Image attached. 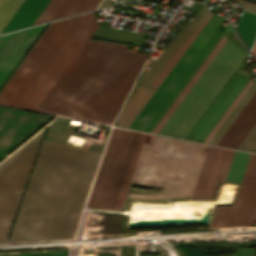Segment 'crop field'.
<instances>
[{
	"instance_id": "9",
	"label": "crop field",
	"mask_w": 256,
	"mask_h": 256,
	"mask_svg": "<svg viewBox=\"0 0 256 256\" xmlns=\"http://www.w3.org/2000/svg\"><path fill=\"white\" fill-rule=\"evenodd\" d=\"M52 118L0 107V158Z\"/></svg>"
},
{
	"instance_id": "11",
	"label": "crop field",
	"mask_w": 256,
	"mask_h": 256,
	"mask_svg": "<svg viewBox=\"0 0 256 256\" xmlns=\"http://www.w3.org/2000/svg\"><path fill=\"white\" fill-rule=\"evenodd\" d=\"M234 151L212 146L195 197H212L217 181H224Z\"/></svg>"
},
{
	"instance_id": "1",
	"label": "crop field",
	"mask_w": 256,
	"mask_h": 256,
	"mask_svg": "<svg viewBox=\"0 0 256 256\" xmlns=\"http://www.w3.org/2000/svg\"><path fill=\"white\" fill-rule=\"evenodd\" d=\"M43 132L0 164V241L7 239ZM99 156L44 140L9 241L70 238Z\"/></svg>"
},
{
	"instance_id": "8",
	"label": "crop field",
	"mask_w": 256,
	"mask_h": 256,
	"mask_svg": "<svg viewBox=\"0 0 256 256\" xmlns=\"http://www.w3.org/2000/svg\"><path fill=\"white\" fill-rule=\"evenodd\" d=\"M178 141L148 134L133 178L163 186Z\"/></svg>"
},
{
	"instance_id": "10",
	"label": "crop field",
	"mask_w": 256,
	"mask_h": 256,
	"mask_svg": "<svg viewBox=\"0 0 256 256\" xmlns=\"http://www.w3.org/2000/svg\"><path fill=\"white\" fill-rule=\"evenodd\" d=\"M197 56L189 50L184 52L129 128L142 131Z\"/></svg>"
},
{
	"instance_id": "28",
	"label": "crop field",
	"mask_w": 256,
	"mask_h": 256,
	"mask_svg": "<svg viewBox=\"0 0 256 256\" xmlns=\"http://www.w3.org/2000/svg\"><path fill=\"white\" fill-rule=\"evenodd\" d=\"M240 8L242 9H245V10H249V11H252V12H255L256 13V9H253V8H250V7H247V6H244V5H240Z\"/></svg>"
},
{
	"instance_id": "27",
	"label": "crop field",
	"mask_w": 256,
	"mask_h": 256,
	"mask_svg": "<svg viewBox=\"0 0 256 256\" xmlns=\"http://www.w3.org/2000/svg\"><path fill=\"white\" fill-rule=\"evenodd\" d=\"M240 256H255L254 248L239 249Z\"/></svg>"
},
{
	"instance_id": "5",
	"label": "crop field",
	"mask_w": 256,
	"mask_h": 256,
	"mask_svg": "<svg viewBox=\"0 0 256 256\" xmlns=\"http://www.w3.org/2000/svg\"><path fill=\"white\" fill-rule=\"evenodd\" d=\"M146 135L112 129L86 207L122 209Z\"/></svg>"
},
{
	"instance_id": "26",
	"label": "crop field",
	"mask_w": 256,
	"mask_h": 256,
	"mask_svg": "<svg viewBox=\"0 0 256 256\" xmlns=\"http://www.w3.org/2000/svg\"><path fill=\"white\" fill-rule=\"evenodd\" d=\"M251 83L252 81L249 80V82L246 84V86L243 88V90L240 92V94L237 96V98L234 100V102L231 104V106L228 108V110L225 112V114L222 116V118L219 120V122L207 136V138L204 140L205 143H207V141L210 139V137L213 135V133L216 131V129L219 127V125L222 123V121L225 119V117L228 115V113L231 111V109L234 107V105L237 103V101L240 99V97L243 95V93L246 91V89L249 87Z\"/></svg>"
},
{
	"instance_id": "16",
	"label": "crop field",
	"mask_w": 256,
	"mask_h": 256,
	"mask_svg": "<svg viewBox=\"0 0 256 256\" xmlns=\"http://www.w3.org/2000/svg\"><path fill=\"white\" fill-rule=\"evenodd\" d=\"M45 26L46 24L29 29L13 52L9 55V57L0 67V86Z\"/></svg>"
},
{
	"instance_id": "25",
	"label": "crop field",
	"mask_w": 256,
	"mask_h": 256,
	"mask_svg": "<svg viewBox=\"0 0 256 256\" xmlns=\"http://www.w3.org/2000/svg\"><path fill=\"white\" fill-rule=\"evenodd\" d=\"M238 148L256 152V124L253 126Z\"/></svg>"
},
{
	"instance_id": "29",
	"label": "crop field",
	"mask_w": 256,
	"mask_h": 256,
	"mask_svg": "<svg viewBox=\"0 0 256 256\" xmlns=\"http://www.w3.org/2000/svg\"><path fill=\"white\" fill-rule=\"evenodd\" d=\"M252 53H253V55L256 57V43H255V45H254V47H253V49H252Z\"/></svg>"
},
{
	"instance_id": "18",
	"label": "crop field",
	"mask_w": 256,
	"mask_h": 256,
	"mask_svg": "<svg viewBox=\"0 0 256 256\" xmlns=\"http://www.w3.org/2000/svg\"><path fill=\"white\" fill-rule=\"evenodd\" d=\"M155 90L140 86L119 116L118 126L128 128Z\"/></svg>"
},
{
	"instance_id": "2",
	"label": "crop field",
	"mask_w": 256,
	"mask_h": 256,
	"mask_svg": "<svg viewBox=\"0 0 256 256\" xmlns=\"http://www.w3.org/2000/svg\"><path fill=\"white\" fill-rule=\"evenodd\" d=\"M89 40L37 111L112 124L147 55Z\"/></svg>"
},
{
	"instance_id": "3",
	"label": "crop field",
	"mask_w": 256,
	"mask_h": 256,
	"mask_svg": "<svg viewBox=\"0 0 256 256\" xmlns=\"http://www.w3.org/2000/svg\"><path fill=\"white\" fill-rule=\"evenodd\" d=\"M98 26L93 12L50 23L0 90V104L36 111Z\"/></svg>"
},
{
	"instance_id": "14",
	"label": "crop field",
	"mask_w": 256,
	"mask_h": 256,
	"mask_svg": "<svg viewBox=\"0 0 256 256\" xmlns=\"http://www.w3.org/2000/svg\"><path fill=\"white\" fill-rule=\"evenodd\" d=\"M100 1L101 0H51L33 25L62 16L95 9Z\"/></svg>"
},
{
	"instance_id": "17",
	"label": "crop field",
	"mask_w": 256,
	"mask_h": 256,
	"mask_svg": "<svg viewBox=\"0 0 256 256\" xmlns=\"http://www.w3.org/2000/svg\"><path fill=\"white\" fill-rule=\"evenodd\" d=\"M256 202V154L251 153L236 198ZM234 203L256 206V203L238 201Z\"/></svg>"
},
{
	"instance_id": "30",
	"label": "crop field",
	"mask_w": 256,
	"mask_h": 256,
	"mask_svg": "<svg viewBox=\"0 0 256 256\" xmlns=\"http://www.w3.org/2000/svg\"><path fill=\"white\" fill-rule=\"evenodd\" d=\"M246 1H249V2H252V3L256 4V0H246Z\"/></svg>"
},
{
	"instance_id": "23",
	"label": "crop field",
	"mask_w": 256,
	"mask_h": 256,
	"mask_svg": "<svg viewBox=\"0 0 256 256\" xmlns=\"http://www.w3.org/2000/svg\"><path fill=\"white\" fill-rule=\"evenodd\" d=\"M250 153L236 150L227 177L241 179Z\"/></svg>"
},
{
	"instance_id": "7",
	"label": "crop field",
	"mask_w": 256,
	"mask_h": 256,
	"mask_svg": "<svg viewBox=\"0 0 256 256\" xmlns=\"http://www.w3.org/2000/svg\"><path fill=\"white\" fill-rule=\"evenodd\" d=\"M225 42L226 38L219 28V30L144 128V132L157 134L160 131Z\"/></svg>"
},
{
	"instance_id": "20",
	"label": "crop field",
	"mask_w": 256,
	"mask_h": 256,
	"mask_svg": "<svg viewBox=\"0 0 256 256\" xmlns=\"http://www.w3.org/2000/svg\"><path fill=\"white\" fill-rule=\"evenodd\" d=\"M236 29L250 49L256 36V15L244 11Z\"/></svg>"
},
{
	"instance_id": "13",
	"label": "crop field",
	"mask_w": 256,
	"mask_h": 256,
	"mask_svg": "<svg viewBox=\"0 0 256 256\" xmlns=\"http://www.w3.org/2000/svg\"><path fill=\"white\" fill-rule=\"evenodd\" d=\"M256 122V93L247 103L220 141L219 146L237 148Z\"/></svg>"
},
{
	"instance_id": "24",
	"label": "crop field",
	"mask_w": 256,
	"mask_h": 256,
	"mask_svg": "<svg viewBox=\"0 0 256 256\" xmlns=\"http://www.w3.org/2000/svg\"><path fill=\"white\" fill-rule=\"evenodd\" d=\"M22 2L23 0H0V31Z\"/></svg>"
},
{
	"instance_id": "4",
	"label": "crop field",
	"mask_w": 256,
	"mask_h": 256,
	"mask_svg": "<svg viewBox=\"0 0 256 256\" xmlns=\"http://www.w3.org/2000/svg\"><path fill=\"white\" fill-rule=\"evenodd\" d=\"M246 54L227 41L159 134L185 139ZM249 79L234 72L186 139L203 142Z\"/></svg>"
},
{
	"instance_id": "31",
	"label": "crop field",
	"mask_w": 256,
	"mask_h": 256,
	"mask_svg": "<svg viewBox=\"0 0 256 256\" xmlns=\"http://www.w3.org/2000/svg\"><path fill=\"white\" fill-rule=\"evenodd\" d=\"M254 220H256V217H255V219Z\"/></svg>"
},
{
	"instance_id": "19",
	"label": "crop field",
	"mask_w": 256,
	"mask_h": 256,
	"mask_svg": "<svg viewBox=\"0 0 256 256\" xmlns=\"http://www.w3.org/2000/svg\"><path fill=\"white\" fill-rule=\"evenodd\" d=\"M255 91L256 83L253 82L249 89L246 91V93L243 95V97L240 99V101L237 103V105L234 107V109L231 111V113L227 116V118L209 140V144L215 145L217 143V141L227 130V128L230 126V124L233 122V120L236 118V116L239 114V112L242 110V108L245 106V104L248 102V100L251 98Z\"/></svg>"
},
{
	"instance_id": "15",
	"label": "crop field",
	"mask_w": 256,
	"mask_h": 256,
	"mask_svg": "<svg viewBox=\"0 0 256 256\" xmlns=\"http://www.w3.org/2000/svg\"><path fill=\"white\" fill-rule=\"evenodd\" d=\"M50 0H25L1 33L32 25Z\"/></svg>"
},
{
	"instance_id": "22",
	"label": "crop field",
	"mask_w": 256,
	"mask_h": 256,
	"mask_svg": "<svg viewBox=\"0 0 256 256\" xmlns=\"http://www.w3.org/2000/svg\"><path fill=\"white\" fill-rule=\"evenodd\" d=\"M27 30L0 36V66L12 52Z\"/></svg>"
},
{
	"instance_id": "21",
	"label": "crop field",
	"mask_w": 256,
	"mask_h": 256,
	"mask_svg": "<svg viewBox=\"0 0 256 256\" xmlns=\"http://www.w3.org/2000/svg\"><path fill=\"white\" fill-rule=\"evenodd\" d=\"M211 15L196 30V32L172 55V57L169 59V61L167 62L165 67L162 69V71L160 72V74L158 75L156 80L153 82L151 87H153V88H157L158 87V85L161 83V81L164 79V77L167 75V73L170 71V69L173 67V65L176 63V61L179 59V57L182 55V53L185 51V49L189 46V44L192 42V40L196 37V35L199 33V31L202 29V27L205 25V23L211 17Z\"/></svg>"
},
{
	"instance_id": "6",
	"label": "crop field",
	"mask_w": 256,
	"mask_h": 256,
	"mask_svg": "<svg viewBox=\"0 0 256 256\" xmlns=\"http://www.w3.org/2000/svg\"><path fill=\"white\" fill-rule=\"evenodd\" d=\"M209 145L179 141L162 194H129L128 197H194L210 150Z\"/></svg>"
},
{
	"instance_id": "12",
	"label": "crop field",
	"mask_w": 256,
	"mask_h": 256,
	"mask_svg": "<svg viewBox=\"0 0 256 256\" xmlns=\"http://www.w3.org/2000/svg\"><path fill=\"white\" fill-rule=\"evenodd\" d=\"M212 12L205 6L194 19L179 33V35L164 50L161 56L153 63L150 70L141 82V85L150 87L161 69L164 67L171 55L195 32V30L206 20Z\"/></svg>"
}]
</instances>
